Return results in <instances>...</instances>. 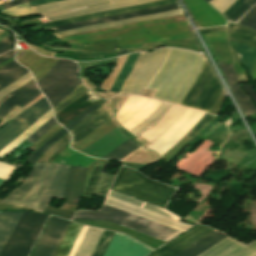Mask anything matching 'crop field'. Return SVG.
Returning <instances> with one entry per match:
<instances>
[{
    "label": "crop field",
    "mask_w": 256,
    "mask_h": 256,
    "mask_svg": "<svg viewBox=\"0 0 256 256\" xmlns=\"http://www.w3.org/2000/svg\"><path fill=\"white\" fill-rule=\"evenodd\" d=\"M205 60L197 53L173 48L141 53L120 93L157 90L153 98L180 105Z\"/></svg>",
    "instance_id": "1"
},
{
    "label": "crop field",
    "mask_w": 256,
    "mask_h": 256,
    "mask_svg": "<svg viewBox=\"0 0 256 256\" xmlns=\"http://www.w3.org/2000/svg\"><path fill=\"white\" fill-rule=\"evenodd\" d=\"M103 204L180 232L190 228L162 208L111 190ZM104 205L99 212L77 211L72 220L109 221L166 242L180 233Z\"/></svg>",
    "instance_id": "2"
},
{
    "label": "crop field",
    "mask_w": 256,
    "mask_h": 256,
    "mask_svg": "<svg viewBox=\"0 0 256 256\" xmlns=\"http://www.w3.org/2000/svg\"><path fill=\"white\" fill-rule=\"evenodd\" d=\"M143 32L148 34L135 35ZM135 35V36H130ZM130 36V37H125ZM118 39V46H139L143 43L173 40L176 38H191L193 34L188 29V22L184 15L164 18L160 20L134 23L113 29L87 32L60 38L62 41L69 40V44H84Z\"/></svg>",
    "instance_id": "3"
},
{
    "label": "crop field",
    "mask_w": 256,
    "mask_h": 256,
    "mask_svg": "<svg viewBox=\"0 0 256 256\" xmlns=\"http://www.w3.org/2000/svg\"><path fill=\"white\" fill-rule=\"evenodd\" d=\"M44 165L45 163L35 165L28 178L0 203L22 205ZM58 165L59 164L53 163L46 164L22 206L31 207L36 210ZM69 167L70 166L63 164L59 165L47 192L37 208V211L43 212L45 206L51 201L52 198L62 199L64 189L66 187Z\"/></svg>",
    "instance_id": "4"
},
{
    "label": "crop field",
    "mask_w": 256,
    "mask_h": 256,
    "mask_svg": "<svg viewBox=\"0 0 256 256\" xmlns=\"http://www.w3.org/2000/svg\"><path fill=\"white\" fill-rule=\"evenodd\" d=\"M69 221L51 217L31 256H54L68 228ZM82 226L70 223L55 256H68ZM102 229L89 227L74 256H90Z\"/></svg>",
    "instance_id": "5"
},
{
    "label": "crop field",
    "mask_w": 256,
    "mask_h": 256,
    "mask_svg": "<svg viewBox=\"0 0 256 256\" xmlns=\"http://www.w3.org/2000/svg\"><path fill=\"white\" fill-rule=\"evenodd\" d=\"M111 190L164 208L176 189L149 180L137 171L122 167Z\"/></svg>",
    "instance_id": "6"
},
{
    "label": "crop field",
    "mask_w": 256,
    "mask_h": 256,
    "mask_svg": "<svg viewBox=\"0 0 256 256\" xmlns=\"http://www.w3.org/2000/svg\"><path fill=\"white\" fill-rule=\"evenodd\" d=\"M77 71L78 66L75 62L59 59L51 70L37 82L52 107L64 99L80 83L76 76Z\"/></svg>",
    "instance_id": "7"
},
{
    "label": "crop field",
    "mask_w": 256,
    "mask_h": 256,
    "mask_svg": "<svg viewBox=\"0 0 256 256\" xmlns=\"http://www.w3.org/2000/svg\"><path fill=\"white\" fill-rule=\"evenodd\" d=\"M109 1H111V3L90 7V8H85V9H81V10H77V11H73L65 14H60L56 16H51V17H47V19L50 21L59 20V19L75 17V16H80V15H85V14H90V13H95L100 11L121 8V7L149 3V2L158 1V0H66V1L54 2L46 5L33 7V10L37 14L46 16V15H51L55 13L89 7V6H93V5H97V4H101Z\"/></svg>",
    "instance_id": "8"
},
{
    "label": "crop field",
    "mask_w": 256,
    "mask_h": 256,
    "mask_svg": "<svg viewBox=\"0 0 256 256\" xmlns=\"http://www.w3.org/2000/svg\"><path fill=\"white\" fill-rule=\"evenodd\" d=\"M47 216L24 211L0 256H28Z\"/></svg>",
    "instance_id": "9"
},
{
    "label": "crop field",
    "mask_w": 256,
    "mask_h": 256,
    "mask_svg": "<svg viewBox=\"0 0 256 256\" xmlns=\"http://www.w3.org/2000/svg\"><path fill=\"white\" fill-rule=\"evenodd\" d=\"M212 230L199 225L151 256H172ZM224 238L212 231L174 256H197Z\"/></svg>",
    "instance_id": "10"
},
{
    "label": "crop field",
    "mask_w": 256,
    "mask_h": 256,
    "mask_svg": "<svg viewBox=\"0 0 256 256\" xmlns=\"http://www.w3.org/2000/svg\"><path fill=\"white\" fill-rule=\"evenodd\" d=\"M222 86L207 60L181 105L208 112Z\"/></svg>",
    "instance_id": "11"
},
{
    "label": "crop field",
    "mask_w": 256,
    "mask_h": 256,
    "mask_svg": "<svg viewBox=\"0 0 256 256\" xmlns=\"http://www.w3.org/2000/svg\"><path fill=\"white\" fill-rule=\"evenodd\" d=\"M50 109L51 107L44 97L0 129V150Z\"/></svg>",
    "instance_id": "12"
},
{
    "label": "crop field",
    "mask_w": 256,
    "mask_h": 256,
    "mask_svg": "<svg viewBox=\"0 0 256 256\" xmlns=\"http://www.w3.org/2000/svg\"><path fill=\"white\" fill-rule=\"evenodd\" d=\"M153 249L115 232L103 256H146Z\"/></svg>",
    "instance_id": "13"
},
{
    "label": "crop field",
    "mask_w": 256,
    "mask_h": 256,
    "mask_svg": "<svg viewBox=\"0 0 256 256\" xmlns=\"http://www.w3.org/2000/svg\"><path fill=\"white\" fill-rule=\"evenodd\" d=\"M196 23L203 27L226 25L223 17L203 0H185Z\"/></svg>",
    "instance_id": "14"
},
{
    "label": "crop field",
    "mask_w": 256,
    "mask_h": 256,
    "mask_svg": "<svg viewBox=\"0 0 256 256\" xmlns=\"http://www.w3.org/2000/svg\"><path fill=\"white\" fill-rule=\"evenodd\" d=\"M199 256H256V241L246 247L227 237Z\"/></svg>",
    "instance_id": "15"
},
{
    "label": "crop field",
    "mask_w": 256,
    "mask_h": 256,
    "mask_svg": "<svg viewBox=\"0 0 256 256\" xmlns=\"http://www.w3.org/2000/svg\"><path fill=\"white\" fill-rule=\"evenodd\" d=\"M218 65L228 83V86H229L235 100L238 101L237 104L239 105L245 118L256 113V108L252 105L249 98L246 97L240 90V88L238 86V78H237V75H236L232 65H224V64H219V63H218Z\"/></svg>",
    "instance_id": "16"
},
{
    "label": "crop field",
    "mask_w": 256,
    "mask_h": 256,
    "mask_svg": "<svg viewBox=\"0 0 256 256\" xmlns=\"http://www.w3.org/2000/svg\"><path fill=\"white\" fill-rule=\"evenodd\" d=\"M178 8H179L178 4L156 7V8L131 12V13H127V14L109 16V17H104V18H99V19H94V20H89V21H84V22H79V23L54 27V28H49L47 30L60 32V31H64V30H68V29H72V28H76V27H83V26H88V25H91V24H97V23H103V22H108V21H113V20L136 17V16L152 14V13H157V12H162V11H167V10H173V9H178Z\"/></svg>",
    "instance_id": "17"
},
{
    "label": "crop field",
    "mask_w": 256,
    "mask_h": 256,
    "mask_svg": "<svg viewBox=\"0 0 256 256\" xmlns=\"http://www.w3.org/2000/svg\"><path fill=\"white\" fill-rule=\"evenodd\" d=\"M58 59L46 58L33 52L31 49L23 53L17 60L20 64L28 67L36 81L43 77Z\"/></svg>",
    "instance_id": "18"
},
{
    "label": "crop field",
    "mask_w": 256,
    "mask_h": 256,
    "mask_svg": "<svg viewBox=\"0 0 256 256\" xmlns=\"http://www.w3.org/2000/svg\"><path fill=\"white\" fill-rule=\"evenodd\" d=\"M181 14H183L182 11L180 9H178V10L157 13V14L144 16V17L126 19V20H121V21H117V22H108V23L97 24V25H92V26L83 27V28H77V29H73V30H69V31H65V32L56 33L54 35H56L58 37H62V36L70 35V34H76V33L96 30V29L112 28V27L121 26V25L129 24V23H133V22L153 20V19L181 15Z\"/></svg>",
    "instance_id": "19"
},
{
    "label": "crop field",
    "mask_w": 256,
    "mask_h": 256,
    "mask_svg": "<svg viewBox=\"0 0 256 256\" xmlns=\"http://www.w3.org/2000/svg\"><path fill=\"white\" fill-rule=\"evenodd\" d=\"M87 168L70 167L64 199L65 204L78 205L82 194Z\"/></svg>",
    "instance_id": "20"
},
{
    "label": "crop field",
    "mask_w": 256,
    "mask_h": 256,
    "mask_svg": "<svg viewBox=\"0 0 256 256\" xmlns=\"http://www.w3.org/2000/svg\"><path fill=\"white\" fill-rule=\"evenodd\" d=\"M175 2H176V0H163V1H158V2L149 3V4H145V5H139V6H133V7H128V8L116 9V10H111V11H106V12H101V13H96V14L71 18V19H67V20L57 21V22H53V23L41 24V25H37V27H39L41 30H43L45 28L58 26V25L69 24V23H73V22L81 21V20H86V19H90V18H99V17L109 16V15H114V14L131 12V11H136V10H140V9L166 5V4L175 3Z\"/></svg>",
    "instance_id": "21"
},
{
    "label": "crop field",
    "mask_w": 256,
    "mask_h": 256,
    "mask_svg": "<svg viewBox=\"0 0 256 256\" xmlns=\"http://www.w3.org/2000/svg\"><path fill=\"white\" fill-rule=\"evenodd\" d=\"M110 116L106 113V111L101 106L98 110H96L90 117H88L84 122L74 128L71 132L73 139L72 145L84 138L98 127L107 122Z\"/></svg>",
    "instance_id": "22"
},
{
    "label": "crop field",
    "mask_w": 256,
    "mask_h": 256,
    "mask_svg": "<svg viewBox=\"0 0 256 256\" xmlns=\"http://www.w3.org/2000/svg\"><path fill=\"white\" fill-rule=\"evenodd\" d=\"M96 101L98 100L89 91L74 101L72 104L61 110L59 113L54 115V117L58 123L64 126Z\"/></svg>",
    "instance_id": "23"
},
{
    "label": "crop field",
    "mask_w": 256,
    "mask_h": 256,
    "mask_svg": "<svg viewBox=\"0 0 256 256\" xmlns=\"http://www.w3.org/2000/svg\"><path fill=\"white\" fill-rule=\"evenodd\" d=\"M69 143L70 142H68L58 152H56L49 160V162L88 167L93 161L96 160L95 158L87 157L83 154L71 150Z\"/></svg>",
    "instance_id": "24"
},
{
    "label": "crop field",
    "mask_w": 256,
    "mask_h": 256,
    "mask_svg": "<svg viewBox=\"0 0 256 256\" xmlns=\"http://www.w3.org/2000/svg\"><path fill=\"white\" fill-rule=\"evenodd\" d=\"M39 94L41 93L38 88L36 89L34 83L21 90L20 92L14 94L2 105H0V119L16 105L21 107L37 97Z\"/></svg>",
    "instance_id": "25"
},
{
    "label": "crop field",
    "mask_w": 256,
    "mask_h": 256,
    "mask_svg": "<svg viewBox=\"0 0 256 256\" xmlns=\"http://www.w3.org/2000/svg\"><path fill=\"white\" fill-rule=\"evenodd\" d=\"M228 39L230 41L242 43L256 47V33L244 27H240L228 22Z\"/></svg>",
    "instance_id": "26"
},
{
    "label": "crop field",
    "mask_w": 256,
    "mask_h": 256,
    "mask_svg": "<svg viewBox=\"0 0 256 256\" xmlns=\"http://www.w3.org/2000/svg\"><path fill=\"white\" fill-rule=\"evenodd\" d=\"M27 71L29 70L20 66L15 60L2 66L0 68V89L18 79Z\"/></svg>",
    "instance_id": "27"
},
{
    "label": "crop field",
    "mask_w": 256,
    "mask_h": 256,
    "mask_svg": "<svg viewBox=\"0 0 256 256\" xmlns=\"http://www.w3.org/2000/svg\"><path fill=\"white\" fill-rule=\"evenodd\" d=\"M171 104H167L162 102L158 108L144 121H142L140 124H138L133 129L129 130L133 135L136 137L139 136L141 133H143L148 128L150 129L153 127L167 112V110L170 108Z\"/></svg>",
    "instance_id": "28"
},
{
    "label": "crop field",
    "mask_w": 256,
    "mask_h": 256,
    "mask_svg": "<svg viewBox=\"0 0 256 256\" xmlns=\"http://www.w3.org/2000/svg\"><path fill=\"white\" fill-rule=\"evenodd\" d=\"M21 213H0V251L9 238Z\"/></svg>",
    "instance_id": "29"
},
{
    "label": "crop field",
    "mask_w": 256,
    "mask_h": 256,
    "mask_svg": "<svg viewBox=\"0 0 256 256\" xmlns=\"http://www.w3.org/2000/svg\"><path fill=\"white\" fill-rule=\"evenodd\" d=\"M115 128H117V127L111 119L106 124H104L103 126L98 128L96 131H94L93 133H91L90 135H88L87 137H85L84 139L77 142L76 144H74L71 147L80 151V150L86 148L87 146H89L90 144H92L93 142H95L96 140H98L99 138H101L102 136H104L105 134L109 133L111 130H113Z\"/></svg>",
    "instance_id": "30"
},
{
    "label": "crop field",
    "mask_w": 256,
    "mask_h": 256,
    "mask_svg": "<svg viewBox=\"0 0 256 256\" xmlns=\"http://www.w3.org/2000/svg\"><path fill=\"white\" fill-rule=\"evenodd\" d=\"M205 1L208 3L210 0ZM255 3L256 0H237L223 14L226 19L236 22Z\"/></svg>",
    "instance_id": "31"
},
{
    "label": "crop field",
    "mask_w": 256,
    "mask_h": 256,
    "mask_svg": "<svg viewBox=\"0 0 256 256\" xmlns=\"http://www.w3.org/2000/svg\"><path fill=\"white\" fill-rule=\"evenodd\" d=\"M239 59L248 66V74L251 76L252 70L256 64V48L245 45H237L233 47Z\"/></svg>",
    "instance_id": "32"
},
{
    "label": "crop field",
    "mask_w": 256,
    "mask_h": 256,
    "mask_svg": "<svg viewBox=\"0 0 256 256\" xmlns=\"http://www.w3.org/2000/svg\"><path fill=\"white\" fill-rule=\"evenodd\" d=\"M138 55H139V53H132L129 55L126 63L124 64L123 68L121 69L120 73L118 74V76L110 90L111 92L118 93L123 82L125 81V79L129 75V73L131 72V70L133 68V64Z\"/></svg>",
    "instance_id": "33"
},
{
    "label": "crop field",
    "mask_w": 256,
    "mask_h": 256,
    "mask_svg": "<svg viewBox=\"0 0 256 256\" xmlns=\"http://www.w3.org/2000/svg\"><path fill=\"white\" fill-rule=\"evenodd\" d=\"M139 146H141V145L128 139L126 142H124L118 148L114 149L113 151H111L110 153H108L107 155H105L102 158L111 159V160H119V159L125 157L126 155H128L129 153H131L132 151H134L135 149H137Z\"/></svg>",
    "instance_id": "34"
},
{
    "label": "crop field",
    "mask_w": 256,
    "mask_h": 256,
    "mask_svg": "<svg viewBox=\"0 0 256 256\" xmlns=\"http://www.w3.org/2000/svg\"><path fill=\"white\" fill-rule=\"evenodd\" d=\"M108 163L109 161L99 160L97 166L95 165L96 167L91 175V178L89 180V183L87 185V188L83 196L93 197L99 178L101 176V173Z\"/></svg>",
    "instance_id": "35"
},
{
    "label": "crop field",
    "mask_w": 256,
    "mask_h": 256,
    "mask_svg": "<svg viewBox=\"0 0 256 256\" xmlns=\"http://www.w3.org/2000/svg\"><path fill=\"white\" fill-rule=\"evenodd\" d=\"M68 133L64 128L60 130L57 134H55L50 140H48L44 145H42L36 152H34L27 160L26 162L34 164L41 155L59 138H61L63 135Z\"/></svg>",
    "instance_id": "36"
},
{
    "label": "crop field",
    "mask_w": 256,
    "mask_h": 256,
    "mask_svg": "<svg viewBox=\"0 0 256 256\" xmlns=\"http://www.w3.org/2000/svg\"><path fill=\"white\" fill-rule=\"evenodd\" d=\"M89 91L86 89L83 84L81 83L69 96H67L64 100H62L57 106L53 108L54 114L59 112L61 109L69 105L71 102H73L75 99H77L82 94Z\"/></svg>",
    "instance_id": "37"
},
{
    "label": "crop field",
    "mask_w": 256,
    "mask_h": 256,
    "mask_svg": "<svg viewBox=\"0 0 256 256\" xmlns=\"http://www.w3.org/2000/svg\"><path fill=\"white\" fill-rule=\"evenodd\" d=\"M69 140H71V138L70 134L68 133L60 140H58L55 144H53L35 164L47 162L48 159Z\"/></svg>",
    "instance_id": "38"
},
{
    "label": "crop field",
    "mask_w": 256,
    "mask_h": 256,
    "mask_svg": "<svg viewBox=\"0 0 256 256\" xmlns=\"http://www.w3.org/2000/svg\"><path fill=\"white\" fill-rule=\"evenodd\" d=\"M31 79H33L32 74L30 72H27L21 78H19L15 82H13L11 85H9V86L3 88L2 90H0V99L2 97L6 96L7 94H9L10 92L16 90L17 88L23 86L24 84H26Z\"/></svg>",
    "instance_id": "39"
},
{
    "label": "crop field",
    "mask_w": 256,
    "mask_h": 256,
    "mask_svg": "<svg viewBox=\"0 0 256 256\" xmlns=\"http://www.w3.org/2000/svg\"><path fill=\"white\" fill-rule=\"evenodd\" d=\"M237 24L243 25L256 31V6L249 10Z\"/></svg>",
    "instance_id": "40"
},
{
    "label": "crop field",
    "mask_w": 256,
    "mask_h": 256,
    "mask_svg": "<svg viewBox=\"0 0 256 256\" xmlns=\"http://www.w3.org/2000/svg\"><path fill=\"white\" fill-rule=\"evenodd\" d=\"M99 101L96 102L94 105H92L90 108H88L85 112H83L81 115L76 117L74 120H72L70 123H68L66 127L69 131L73 129L76 125H78L80 122L85 120L88 116H90L96 109L100 107Z\"/></svg>",
    "instance_id": "41"
},
{
    "label": "crop field",
    "mask_w": 256,
    "mask_h": 256,
    "mask_svg": "<svg viewBox=\"0 0 256 256\" xmlns=\"http://www.w3.org/2000/svg\"><path fill=\"white\" fill-rule=\"evenodd\" d=\"M114 232L105 230L100 242L98 243L92 256H102L105 252Z\"/></svg>",
    "instance_id": "42"
},
{
    "label": "crop field",
    "mask_w": 256,
    "mask_h": 256,
    "mask_svg": "<svg viewBox=\"0 0 256 256\" xmlns=\"http://www.w3.org/2000/svg\"><path fill=\"white\" fill-rule=\"evenodd\" d=\"M56 123L57 122L54 119V117L50 118L35 133H33L30 138H27L26 140H28L32 143L35 142L37 139H39L47 130H49Z\"/></svg>",
    "instance_id": "43"
},
{
    "label": "crop field",
    "mask_w": 256,
    "mask_h": 256,
    "mask_svg": "<svg viewBox=\"0 0 256 256\" xmlns=\"http://www.w3.org/2000/svg\"><path fill=\"white\" fill-rule=\"evenodd\" d=\"M214 117V115L205 114L202 119L188 132L186 137L192 139L202 128H204L210 120Z\"/></svg>",
    "instance_id": "44"
},
{
    "label": "crop field",
    "mask_w": 256,
    "mask_h": 256,
    "mask_svg": "<svg viewBox=\"0 0 256 256\" xmlns=\"http://www.w3.org/2000/svg\"><path fill=\"white\" fill-rule=\"evenodd\" d=\"M63 127L60 126L58 123L54 125L47 133H45L37 142H35L30 148L32 150L38 149L46 140L52 137L55 133H57Z\"/></svg>",
    "instance_id": "45"
},
{
    "label": "crop field",
    "mask_w": 256,
    "mask_h": 256,
    "mask_svg": "<svg viewBox=\"0 0 256 256\" xmlns=\"http://www.w3.org/2000/svg\"><path fill=\"white\" fill-rule=\"evenodd\" d=\"M113 177V175L103 173L100 178L99 184L97 186V191L95 194L105 195Z\"/></svg>",
    "instance_id": "46"
},
{
    "label": "crop field",
    "mask_w": 256,
    "mask_h": 256,
    "mask_svg": "<svg viewBox=\"0 0 256 256\" xmlns=\"http://www.w3.org/2000/svg\"><path fill=\"white\" fill-rule=\"evenodd\" d=\"M16 166L0 162V177L8 180L9 176L15 170ZM0 178V186L7 180Z\"/></svg>",
    "instance_id": "47"
},
{
    "label": "crop field",
    "mask_w": 256,
    "mask_h": 256,
    "mask_svg": "<svg viewBox=\"0 0 256 256\" xmlns=\"http://www.w3.org/2000/svg\"><path fill=\"white\" fill-rule=\"evenodd\" d=\"M44 212L52 214V215H56L59 217L67 218V219H70L72 217V215L74 214L73 212H69V211H65V210H61V209H55L49 205L46 207Z\"/></svg>",
    "instance_id": "48"
},
{
    "label": "crop field",
    "mask_w": 256,
    "mask_h": 256,
    "mask_svg": "<svg viewBox=\"0 0 256 256\" xmlns=\"http://www.w3.org/2000/svg\"><path fill=\"white\" fill-rule=\"evenodd\" d=\"M236 0H212L211 3L213 6H215L218 10H220L222 13L231 6Z\"/></svg>",
    "instance_id": "49"
},
{
    "label": "crop field",
    "mask_w": 256,
    "mask_h": 256,
    "mask_svg": "<svg viewBox=\"0 0 256 256\" xmlns=\"http://www.w3.org/2000/svg\"><path fill=\"white\" fill-rule=\"evenodd\" d=\"M227 96H224V90L221 92V94L219 95V97L217 98V100L215 101V103L213 104L211 110L209 113H213L218 115L225 99Z\"/></svg>",
    "instance_id": "50"
},
{
    "label": "crop field",
    "mask_w": 256,
    "mask_h": 256,
    "mask_svg": "<svg viewBox=\"0 0 256 256\" xmlns=\"http://www.w3.org/2000/svg\"><path fill=\"white\" fill-rule=\"evenodd\" d=\"M206 41L227 39L226 32L203 35Z\"/></svg>",
    "instance_id": "51"
},
{
    "label": "crop field",
    "mask_w": 256,
    "mask_h": 256,
    "mask_svg": "<svg viewBox=\"0 0 256 256\" xmlns=\"http://www.w3.org/2000/svg\"><path fill=\"white\" fill-rule=\"evenodd\" d=\"M12 46L11 36L7 37L0 43V54L8 51Z\"/></svg>",
    "instance_id": "52"
},
{
    "label": "crop field",
    "mask_w": 256,
    "mask_h": 256,
    "mask_svg": "<svg viewBox=\"0 0 256 256\" xmlns=\"http://www.w3.org/2000/svg\"><path fill=\"white\" fill-rule=\"evenodd\" d=\"M226 30H227L226 27H219V28L203 29V30H199V32L201 34H205V33L218 32V31H226Z\"/></svg>",
    "instance_id": "53"
},
{
    "label": "crop field",
    "mask_w": 256,
    "mask_h": 256,
    "mask_svg": "<svg viewBox=\"0 0 256 256\" xmlns=\"http://www.w3.org/2000/svg\"><path fill=\"white\" fill-rule=\"evenodd\" d=\"M14 53H15V50L10 51V52L4 54L3 56H1V57H0V63H2V62H4V61H6V60H8V59H10V58H12V57H14Z\"/></svg>",
    "instance_id": "54"
},
{
    "label": "crop field",
    "mask_w": 256,
    "mask_h": 256,
    "mask_svg": "<svg viewBox=\"0 0 256 256\" xmlns=\"http://www.w3.org/2000/svg\"><path fill=\"white\" fill-rule=\"evenodd\" d=\"M27 1H30V0H17V1H12V2H9V3H6V4H2V6H4L5 8H8V7H11V6H14V5H17V4H20V3H24V2H27ZM3 7V8H4Z\"/></svg>",
    "instance_id": "55"
},
{
    "label": "crop field",
    "mask_w": 256,
    "mask_h": 256,
    "mask_svg": "<svg viewBox=\"0 0 256 256\" xmlns=\"http://www.w3.org/2000/svg\"><path fill=\"white\" fill-rule=\"evenodd\" d=\"M32 82H34V80H31L29 83H27L26 85H24V86L21 87L20 89L14 91V92L10 93L9 95H7L6 97L2 98V99L0 100V104L3 103V102H4L8 97H10L12 94H14V93L18 92L19 90H21V89L27 87V86L30 85ZM12 96H13V95H12Z\"/></svg>",
    "instance_id": "56"
},
{
    "label": "crop field",
    "mask_w": 256,
    "mask_h": 256,
    "mask_svg": "<svg viewBox=\"0 0 256 256\" xmlns=\"http://www.w3.org/2000/svg\"><path fill=\"white\" fill-rule=\"evenodd\" d=\"M53 1H59V0H36V1H31L29 3H30V6H34V5H39V4L53 2Z\"/></svg>",
    "instance_id": "57"
},
{
    "label": "crop field",
    "mask_w": 256,
    "mask_h": 256,
    "mask_svg": "<svg viewBox=\"0 0 256 256\" xmlns=\"http://www.w3.org/2000/svg\"><path fill=\"white\" fill-rule=\"evenodd\" d=\"M252 80H256V66L253 70L252 76H251Z\"/></svg>",
    "instance_id": "58"
},
{
    "label": "crop field",
    "mask_w": 256,
    "mask_h": 256,
    "mask_svg": "<svg viewBox=\"0 0 256 256\" xmlns=\"http://www.w3.org/2000/svg\"><path fill=\"white\" fill-rule=\"evenodd\" d=\"M8 35H10L9 33H3L1 36H0V41H2L4 38H6Z\"/></svg>",
    "instance_id": "59"
},
{
    "label": "crop field",
    "mask_w": 256,
    "mask_h": 256,
    "mask_svg": "<svg viewBox=\"0 0 256 256\" xmlns=\"http://www.w3.org/2000/svg\"><path fill=\"white\" fill-rule=\"evenodd\" d=\"M0 32H2V30H0Z\"/></svg>",
    "instance_id": "60"
}]
</instances>
